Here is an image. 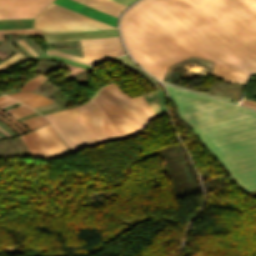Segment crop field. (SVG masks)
<instances>
[{
  "mask_svg": "<svg viewBox=\"0 0 256 256\" xmlns=\"http://www.w3.org/2000/svg\"><path fill=\"white\" fill-rule=\"evenodd\" d=\"M19 43L25 47L33 56H36L37 54L31 49V47L24 41L20 40Z\"/></svg>",
  "mask_w": 256,
  "mask_h": 256,
  "instance_id": "crop-field-23",
  "label": "crop field"
},
{
  "mask_svg": "<svg viewBox=\"0 0 256 256\" xmlns=\"http://www.w3.org/2000/svg\"><path fill=\"white\" fill-rule=\"evenodd\" d=\"M7 56H9V55H7V54H5V53H3V52L0 51V58L4 59V58H6Z\"/></svg>",
  "mask_w": 256,
  "mask_h": 256,
  "instance_id": "crop-field-29",
  "label": "crop field"
},
{
  "mask_svg": "<svg viewBox=\"0 0 256 256\" xmlns=\"http://www.w3.org/2000/svg\"><path fill=\"white\" fill-rule=\"evenodd\" d=\"M241 105H244V106L256 109V103L248 101V100H245V99L242 101Z\"/></svg>",
  "mask_w": 256,
  "mask_h": 256,
  "instance_id": "crop-field-25",
  "label": "crop field"
},
{
  "mask_svg": "<svg viewBox=\"0 0 256 256\" xmlns=\"http://www.w3.org/2000/svg\"><path fill=\"white\" fill-rule=\"evenodd\" d=\"M45 116L71 151L121 138L94 98L84 105Z\"/></svg>",
  "mask_w": 256,
  "mask_h": 256,
  "instance_id": "crop-field-3",
  "label": "crop field"
},
{
  "mask_svg": "<svg viewBox=\"0 0 256 256\" xmlns=\"http://www.w3.org/2000/svg\"><path fill=\"white\" fill-rule=\"evenodd\" d=\"M117 39H118V37H117ZM117 39L116 38H108V39H90V40H81V41H82L83 48H84L85 52L97 51L98 57L104 58V57H111L114 55H118L123 52V50H122V52L120 50L121 45L119 47L120 42L118 44ZM118 41H119V39H118ZM84 51H83V53H84ZM47 52H48V54L59 55L62 57H66V58L73 59V60H76L79 62L90 64V65H94L96 63L110 59V58L98 59L96 52L84 53L85 59L79 58V57H76L73 55H69V54H66L63 52H59L56 50H47Z\"/></svg>",
  "mask_w": 256,
  "mask_h": 256,
  "instance_id": "crop-field-5",
  "label": "crop field"
},
{
  "mask_svg": "<svg viewBox=\"0 0 256 256\" xmlns=\"http://www.w3.org/2000/svg\"><path fill=\"white\" fill-rule=\"evenodd\" d=\"M49 7L54 8V9H57V10L62 11V12H64V13L70 14V15L75 16V17H77V18H80V19H82V20L88 21V22L93 23V24H95V25L101 26V27H103V28H111V27H113V26H110V25H108V24H105V23H102V22H100V21H97V20H95V19H92V18H90V17H87V16H84V15L79 14V13H77V12H74V11H72V10H69V9H67V8H64V7H61V6H59V5H56V4H54V3H52L51 5H49Z\"/></svg>",
  "mask_w": 256,
  "mask_h": 256,
  "instance_id": "crop-field-15",
  "label": "crop field"
},
{
  "mask_svg": "<svg viewBox=\"0 0 256 256\" xmlns=\"http://www.w3.org/2000/svg\"><path fill=\"white\" fill-rule=\"evenodd\" d=\"M0 114L3 115V116H5V117L8 118L9 120L13 121L19 128H21V129L24 130L25 132H28L24 126H22L21 124H19V123H18L16 120H14L13 118H11V117L5 115V114H4L3 112H1V111H0Z\"/></svg>",
  "mask_w": 256,
  "mask_h": 256,
  "instance_id": "crop-field-24",
  "label": "crop field"
},
{
  "mask_svg": "<svg viewBox=\"0 0 256 256\" xmlns=\"http://www.w3.org/2000/svg\"><path fill=\"white\" fill-rule=\"evenodd\" d=\"M2 120H4L5 122H7L8 124H10L17 132H19L20 134H22V132H20L16 127H14L9 121H7L6 119L0 117Z\"/></svg>",
  "mask_w": 256,
  "mask_h": 256,
  "instance_id": "crop-field-28",
  "label": "crop field"
},
{
  "mask_svg": "<svg viewBox=\"0 0 256 256\" xmlns=\"http://www.w3.org/2000/svg\"><path fill=\"white\" fill-rule=\"evenodd\" d=\"M33 60H54V61H58V62H61V63L68 64V65L84 68V69L89 67L87 65L72 62V61L57 57V56H42V57H35V58L28 59V61H33Z\"/></svg>",
  "mask_w": 256,
  "mask_h": 256,
  "instance_id": "crop-field-16",
  "label": "crop field"
},
{
  "mask_svg": "<svg viewBox=\"0 0 256 256\" xmlns=\"http://www.w3.org/2000/svg\"><path fill=\"white\" fill-rule=\"evenodd\" d=\"M40 36L44 38L45 42H52V41L86 39V38L111 37V36H117V32H116V29H111V30H99V31L65 33V34H54V35H40Z\"/></svg>",
  "mask_w": 256,
  "mask_h": 256,
  "instance_id": "crop-field-11",
  "label": "crop field"
},
{
  "mask_svg": "<svg viewBox=\"0 0 256 256\" xmlns=\"http://www.w3.org/2000/svg\"><path fill=\"white\" fill-rule=\"evenodd\" d=\"M106 87L111 92L121 108L124 110V112L127 114L132 123L135 125V127L138 129V131L149 120L156 117L142 95L131 99L123 94L114 83L109 84Z\"/></svg>",
  "mask_w": 256,
  "mask_h": 256,
  "instance_id": "crop-field-6",
  "label": "crop field"
},
{
  "mask_svg": "<svg viewBox=\"0 0 256 256\" xmlns=\"http://www.w3.org/2000/svg\"><path fill=\"white\" fill-rule=\"evenodd\" d=\"M19 57H21V55L19 53L15 54L14 56H12L11 58H9L8 60L4 61L3 63L0 64V70L3 69L4 67H6L8 64L14 62L16 59H18ZM21 59H24V57L22 56L20 59H18L15 63H17L18 61H20ZM14 63V64H15ZM12 66V65H11Z\"/></svg>",
  "mask_w": 256,
  "mask_h": 256,
  "instance_id": "crop-field-21",
  "label": "crop field"
},
{
  "mask_svg": "<svg viewBox=\"0 0 256 256\" xmlns=\"http://www.w3.org/2000/svg\"><path fill=\"white\" fill-rule=\"evenodd\" d=\"M11 101H14V100H12L6 96H0V106L6 104L8 102H11Z\"/></svg>",
  "mask_w": 256,
  "mask_h": 256,
  "instance_id": "crop-field-26",
  "label": "crop field"
},
{
  "mask_svg": "<svg viewBox=\"0 0 256 256\" xmlns=\"http://www.w3.org/2000/svg\"><path fill=\"white\" fill-rule=\"evenodd\" d=\"M17 101H20L22 99H25V98H29V97H33V96H39L38 94H35V93H28V92H20V93H15V94H10V95H7Z\"/></svg>",
  "mask_w": 256,
  "mask_h": 256,
  "instance_id": "crop-field-20",
  "label": "crop field"
},
{
  "mask_svg": "<svg viewBox=\"0 0 256 256\" xmlns=\"http://www.w3.org/2000/svg\"><path fill=\"white\" fill-rule=\"evenodd\" d=\"M53 0H0V19L34 18Z\"/></svg>",
  "mask_w": 256,
  "mask_h": 256,
  "instance_id": "crop-field-9",
  "label": "crop field"
},
{
  "mask_svg": "<svg viewBox=\"0 0 256 256\" xmlns=\"http://www.w3.org/2000/svg\"><path fill=\"white\" fill-rule=\"evenodd\" d=\"M35 157L51 158L34 132L21 136Z\"/></svg>",
  "mask_w": 256,
  "mask_h": 256,
  "instance_id": "crop-field-13",
  "label": "crop field"
},
{
  "mask_svg": "<svg viewBox=\"0 0 256 256\" xmlns=\"http://www.w3.org/2000/svg\"><path fill=\"white\" fill-rule=\"evenodd\" d=\"M34 28L46 33L99 29L88 22L47 7L35 17Z\"/></svg>",
  "mask_w": 256,
  "mask_h": 256,
  "instance_id": "crop-field-4",
  "label": "crop field"
},
{
  "mask_svg": "<svg viewBox=\"0 0 256 256\" xmlns=\"http://www.w3.org/2000/svg\"><path fill=\"white\" fill-rule=\"evenodd\" d=\"M121 33L159 80L191 56L215 61L212 75L243 85L256 72V0H140L122 16Z\"/></svg>",
  "mask_w": 256,
  "mask_h": 256,
  "instance_id": "crop-field-1",
  "label": "crop field"
},
{
  "mask_svg": "<svg viewBox=\"0 0 256 256\" xmlns=\"http://www.w3.org/2000/svg\"><path fill=\"white\" fill-rule=\"evenodd\" d=\"M143 97L150 105L156 116L165 112L164 93L162 89L143 94Z\"/></svg>",
  "mask_w": 256,
  "mask_h": 256,
  "instance_id": "crop-field-14",
  "label": "crop field"
},
{
  "mask_svg": "<svg viewBox=\"0 0 256 256\" xmlns=\"http://www.w3.org/2000/svg\"><path fill=\"white\" fill-rule=\"evenodd\" d=\"M37 31V30H36ZM31 29H16V30H3V32H11V33H39ZM1 37H2V30H0ZM40 34H43L42 32ZM1 39V38H0ZM3 39V37H2Z\"/></svg>",
  "mask_w": 256,
  "mask_h": 256,
  "instance_id": "crop-field-22",
  "label": "crop field"
},
{
  "mask_svg": "<svg viewBox=\"0 0 256 256\" xmlns=\"http://www.w3.org/2000/svg\"><path fill=\"white\" fill-rule=\"evenodd\" d=\"M21 102H24V103L28 104L29 106L34 107V106L42 105V104L49 103L52 101L46 99L43 96H39V97L29 98V99L23 100Z\"/></svg>",
  "mask_w": 256,
  "mask_h": 256,
  "instance_id": "crop-field-19",
  "label": "crop field"
},
{
  "mask_svg": "<svg viewBox=\"0 0 256 256\" xmlns=\"http://www.w3.org/2000/svg\"><path fill=\"white\" fill-rule=\"evenodd\" d=\"M7 113L12 115L15 119H17L35 112L32 109L28 108L27 106H23V107L11 110Z\"/></svg>",
  "mask_w": 256,
  "mask_h": 256,
  "instance_id": "crop-field-18",
  "label": "crop field"
},
{
  "mask_svg": "<svg viewBox=\"0 0 256 256\" xmlns=\"http://www.w3.org/2000/svg\"><path fill=\"white\" fill-rule=\"evenodd\" d=\"M54 3L61 6L67 7L79 13L85 14L102 22L108 23L116 27V17L108 15L106 13L100 12L98 10L92 9L85 5L79 4L71 0H55Z\"/></svg>",
  "mask_w": 256,
  "mask_h": 256,
  "instance_id": "crop-field-10",
  "label": "crop field"
},
{
  "mask_svg": "<svg viewBox=\"0 0 256 256\" xmlns=\"http://www.w3.org/2000/svg\"><path fill=\"white\" fill-rule=\"evenodd\" d=\"M20 123L26 126L30 131L40 126L49 124L34 131L42 141L51 157H57L69 153V150L66 148L46 118L38 115L36 117L20 121Z\"/></svg>",
  "mask_w": 256,
  "mask_h": 256,
  "instance_id": "crop-field-8",
  "label": "crop field"
},
{
  "mask_svg": "<svg viewBox=\"0 0 256 256\" xmlns=\"http://www.w3.org/2000/svg\"><path fill=\"white\" fill-rule=\"evenodd\" d=\"M180 117L246 191L256 190V112L165 86Z\"/></svg>",
  "mask_w": 256,
  "mask_h": 256,
  "instance_id": "crop-field-2",
  "label": "crop field"
},
{
  "mask_svg": "<svg viewBox=\"0 0 256 256\" xmlns=\"http://www.w3.org/2000/svg\"><path fill=\"white\" fill-rule=\"evenodd\" d=\"M113 1L118 2V3H120V4H123V5L127 6L128 4H130V3H131L132 1H134V0H113Z\"/></svg>",
  "mask_w": 256,
  "mask_h": 256,
  "instance_id": "crop-field-27",
  "label": "crop field"
},
{
  "mask_svg": "<svg viewBox=\"0 0 256 256\" xmlns=\"http://www.w3.org/2000/svg\"><path fill=\"white\" fill-rule=\"evenodd\" d=\"M107 89L105 86L99 89L94 97L95 100L98 102L122 138L136 133L137 129L112 97L110 94L111 92L109 93Z\"/></svg>",
  "mask_w": 256,
  "mask_h": 256,
  "instance_id": "crop-field-7",
  "label": "crop field"
},
{
  "mask_svg": "<svg viewBox=\"0 0 256 256\" xmlns=\"http://www.w3.org/2000/svg\"><path fill=\"white\" fill-rule=\"evenodd\" d=\"M74 1L85 4L87 6L98 9L100 11L106 12L108 14L114 15L116 17L120 13V11L123 8H125V6L110 0H74Z\"/></svg>",
  "mask_w": 256,
  "mask_h": 256,
  "instance_id": "crop-field-12",
  "label": "crop field"
},
{
  "mask_svg": "<svg viewBox=\"0 0 256 256\" xmlns=\"http://www.w3.org/2000/svg\"><path fill=\"white\" fill-rule=\"evenodd\" d=\"M46 79H47L46 77L42 75H38L32 78L31 80H29L25 85H23L21 91H31Z\"/></svg>",
  "mask_w": 256,
  "mask_h": 256,
  "instance_id": "crop-field-17",
  "label": "crop field"
}]
</instances>
